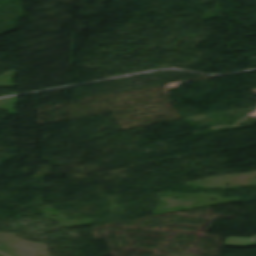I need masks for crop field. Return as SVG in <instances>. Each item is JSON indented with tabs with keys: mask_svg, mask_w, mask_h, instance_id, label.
Instances as JSON below:
<instances>
[{
	"mask_svg": "<svg viewBox=\"0 0 256 256\" xmlns=\"http://www.w3.org/2000/svg\"><path fill=\"white\" fill-rule=\"evenodd\" d=\"M255 244H256V236H252L251 239L227 238L224 246L247 247Z\"/></svg>",
	"mask_w": 256,
	"mask_h": 256,
	"instance_id": "crop-field-1",
	"label": "crop field"
}]
</instances>
